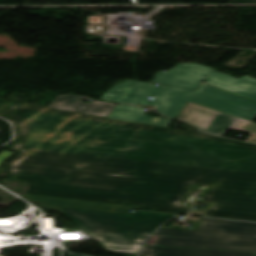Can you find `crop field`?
Wrapping results in <instances>:
<instances>
[{"mask_svg":"<svg viewBox=\"0 0 256 256\" xmlns=\"http://www.w3.org/2000/svg\"><path fill=\"white\" fill-rule=\"evenodd\" d=\"M107 117L125 120V121L161 126L166 128H169V126L172 123V120H169L166 118H154V117L144 116L143 108L121 105V104H117Z\"/></svg>","mask_w":256,"mask_h":256,"instance_id":"crop-field-12","label":"crop field"},{"mask_svg":"<svg viewBox=\"0 0 256 256\" xmlns=\"http://www.w3.org/2000/svg\"><path fill=\"white\" fill-rule=\"evenodd\" d=\"M154 138L136 135L124 151H25L6 179L32 182L28 194L181 214L191 207L180 205L190 183L209 185L205 216L256 221V145L216 137L195 150L152 145Z\"/></svg>","mask_w":256,"mask_h":256,"instance_id":"crop-field-1","label":"crop field"},{"mask_svg":"<svg viewBox=\"0 0 256 256\" xmlns=\"http://www.w3.org/2000/svg\"><path fill=\"white\" fill-rule=\"evenodd\" d=\"M203 81L256 102V78L246 75L237 79L196 63H181L166 73L158 72L149 82L196 89Z\"/></svg>","mask_w":256,"mask_h":256,"instance_id":"crop-field-6","label":"crop field"},{"mask_svg":"<svg viewBox=\"0 0 256 256\" xmlns=\"http://www.w3.org/2000/svg\"><path fill=\"white\" fill-rule=\"evenodd\" d=\"M176 120L222 136L228 129L251 134L246 141L256 142V124L188 102Z\"/></svg>","mask_w":256,"mask_h":256,"instance_id":"crop-field-7","label":"crop field"},{"mask_svg":"<svg viewBox=\"0 0 256 256\" xmlns=\"http://www.w3.org/2000/svg\"><path fill=\"white\" fill-rule=\"evenodd\" d=\"M254 252L199 250L172 247L144 246L141 255L145 256H252Z\"/></svg>","mask_w":256,"mask_h":256,"instance_id":"crop-field-11","label":"crop field"},{"mask_svg":"<svg viewBox=\"0 0 256 256\" xmlns=\"http://www.w3.org/2000/svg\"><path fill=\"white\" fill-rule=\"evenodd\" d=\"M81 106L85 108H81ZM114 106L115 104L98 101H94L93 103H82L80 101V96L60 95L55 98L47 107L106 117Z\"/></svg>","mask_w":256,"mask_h":256,"instance_id":"crop-field-10","label":"crop field"},{"mask_svg":"<svg viewBox=\"0 0 256 256\" xmlns=\"http://www.w3.org/2000/svg\"><path fill=\"white\" fill-rule=\"evenodd\" d=\"M137 134L155 136L152 144L200 149L214 137L200 132H184L140 125Z\"/></svg>","mask_w":256,"mask_h":256,"instance_id":"crop-field-8","label":"crop field"},{"mask_svg":"<svg viewBox=\"0 0 256 256\" xmlns=\"http://www.w3.org/2000/svg\"><path fill=\"white\" fill-rule=\"evenodd\" d=\"M22 197L37 204L43 210L52 211V212H59L61 206H66V207L83 208V209H91V210H99V211L133 214V213H130L131 209L136 210L137 208L134 206L106 204V203H97V202H88V201L43 197V196H33V195H27V194H23Z\"/></svg>","mask_w":256,"mask_h":256,"instance_id":"crop-field-9","label":"crop field"},{"mask_svg":"<svg viewBox=\"0 0 256 256\" xmlns=\"http://www.w3.org/2000/svg\"><path fill=\"white\" fill-rule=\"evenodd\" d=\"M124 80L106 91L101 100L155 107L176 118L188 101L255 122L256 103L202 83L197 90ZM147 96L155 97L148 101Z\"/></svg>","mask_w":256,"mask_h":256,"instance_id":"crop-field-3","label":"crop field"},{"mask_svg":"<svg viewBox=\"0 0 256 256\" xmlns=\"http://www.w3.org/2000/svg\"><path fill=\"white\" fill-rule=\"evenodd\" d=\"M145 245L256 251V223L201 218L198 230L159 228Z\"/></svg>","mask_w":256,"mask_h":256,"instance_id":"crop-field-5","label":"crop field"},{"mask_svg":"<svg viewBox=\"0 0 256 256\" xmlns=\"http://www.w3.org/2000/svg\"><path fill=\"white\" fill-rule=\"evenodd\" d=\"M60 212L77 223L110 252L138 253L143 240L169 214L136 211L135 215L62 207Z\"/></svg>","mask_w":256,"mask_h":256,"instance_id":"crop-field-4","label":"crop field"},{"mask_svg":"<svg viewBox=\"0 0 256 256\" xmlns=\"http://www.w3.org/2000/svg\"><path fill=\"white\" fill-rule=\"evenodd\" d=\"M9 117L20 129L12 149L21 156L25 150H50L55 143L124 150L140 125L27 104Z\"/></svg>","mask_w":256,"mask_h":256,"instance_id":"crop-field-2","label":"crop field"},{"mask_svg":"<svg viewBox=\"0 0 256 256\" xmlns=\"http://www.w3.org/2000/svg\"><path fill=\"white\" fill-rule=\"evenodd\" d=\"M69 256H80V255H69Z\"/></svg>","mask_w":256,"mask_h":256,"instance_id":"crop-field-13","label":"crop field"}]
</instances>
